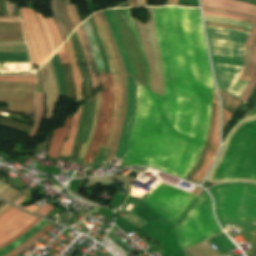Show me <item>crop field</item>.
Listing matches in <instances>:
<instances>
[{
	"label": "crop field",
	"mask_w": 256,
	"mask_h": 256,
	"mask_svg": "<svg viewBox=\"0 0 256 256\" xmlns=\"http://www.w3.org/2000/svg\"><path fill=\"white\" fill-rule=\"evenodd\" d=\"M124 10L144 60L147 89L138 82L137 110L122 165H148L185 179L203 149L213 99L199 9L152 7L164 97L150 91L148 61Z\"/></svg>",
	"instance_id": "8a807250"
},
{
	"label": "crop field",
	"mask_w": 256,
	"mask_h": 256,
	"mask_svg": "<svg viewBox=\"0 0 256 256\" xmlns=\"http://www.w3.org/2000/svg\"><path fill=\"white\" fill-rule=\"evenodd\" d=\"M206 30L218 87L228 90L242 72L248 33L217 26Z\"/></svg>",
	"instance_id": "ac0d7876"
},
{
	"label": "crop field",
	"mask_w": 256,
	"mask_h": 256,
	"mask_svg": "<svg viewBox=\"0 0 256 256\" xmlns=\"http://www.w3.org/2000/svg\"><path fill=\"white\" fill-rule=\"evenodd\" d=\"M221 224L256 225V185L221 184L209 189Z\"/></svg>",
	"instance_id": "34b2d1b8"
},
{
	"label": "crop field",
	"mask_w": 256,
	"mask_h": 256,
	"mask_svg": "<svg viewBox=\"0 0 256 256\" xmlns=\"http://www.w3.org/2000/svg\"><path fill=\"white\" fill-rule=\"evenodd\" d=\"M229 178L256 180V121L243 125L233 137L213 179Z\"/></svg>",
	"instance_id": "412701ff"
},
{
	"label": "crop field",
	"mask_w": 256,
	"mask_h": 256,
	"mask_svg": "<svg viewBox=\"0 0 256 256\" xmlns=\"http://www.w3.org/2000/svg\"><path fill=\"white\" fill-rule=\"evenodd\" d=\"M221 232L212 214L210 197L203 192L171 233L183 249Z\"/></svg>",
	"instance_id": "f4fd0767"
},
{
	"label": "crop field",
	"mask_w": 256,
	"mask_h": 256,
	"mask_svg": "<svg viewBox=\"0 0 256 256\" xmlns=\"http://www.w3.org/2000/svg\"><path fill=\"white\" fill-rule=\"evenodd\" d=\"M82 25L85 30L87 39L89 41L92 55L98 67V72L99 73L105 72L103 68L101 56L98 50V46L94 38L89 20L82 23ZM99 76H100V80L103 85L104 91H102V100H101V106H100V111L98 115L95 136L89 146L84 162H91L99 151L97 147L103 146V143L106 140V136H107V132L110 124V115H111L112 101H113L112 78H111V74H107L108 80H109V85H108L105 73L99 74ZM108 97H109V106H108ZM107 106H108V109H107Z\"/></svg>",
	"instance_id": "dd49c442"
},
{
	"label": "crop field",
	"mask_w": 256,
	"mask_h": 256,
	"mask_svg": "<svg viewBox=\"0 0 256 256\" xmlns=\"http://www.w3.org/2000/svg\"><path fill=\"white\" fill-rule=\"evenodd\" d=\"M19 10L33 63L40 67L56 50L52 35L43 15L27 8Z\"/></svg>",
	"instance_id": "e52e79f7"
},
{
	"label": "crop field",
	"mask_w": 256,
	"mask_h": 256,
	"mask_svg": "<svg viewBox=\"0 0 256 256\" xmlns=\"http://www.w3.org/2000/svg\"><path fill=\"white\" fill-rule=\"evenodd\" d=\"M92 19L94 20L100 38L102 40L106 57L112 72L113 77V89H114V101H113V110H112V117H111V126L108 133V137L105 143L104 149H110L114 143L115 132L117 128V124L119 121L121 109H122V81H121V71L119 64L114 56V52L112 49L111 42L105 30V27L99 17V13H95L91 15Z\"/></svg>",
	"instance_id": "d8731c3e"
},
{
	"label": "crop field",
	"mask_w": 256,
	"mask_h": 256,
	"mask_svg": "<svg viewBox=\"0 0 256 256\" xmlns=\"http://www.w3.org/2000/svg\"><path fill=\"white\" fill-rule=\"evenodd\" d=\"M145 197L176 222L196 199L192 194L160 182Z\"/></svg>",
	"instance_id": "5a996713"
},
{
	"label": "crop field",
	"mask_w": 256,
	"mask_h": 256,
	"mask_svg": "<svg viewBox=\"0 0 256 256\" xmlns=\"http://www.w3.org/2000/svg\"><path fill=\"white\" fill-rule=\"evenodd\" d=\"M148 10L150 15L148 22L145 23V25L137 19L136 22L140 30V38L143 42L150 65L151 89L163 95L161 61L153 26L151 7H149Z\"/></svg>",
	"instance_id": "3316defc"
},
{
	"label": "crop field",
	"mask_w": 256,
	"mask_h": 256,
	"mask_svg": "<svg viewBox=\"0 0 256 256\" xmlns=\"http://www.w3.org/2000/svg\"><path fill=\"white\" fill-rule=\"evenodd\" d=\"M37 217L12 208L0 218V244L11 239L31 224Z\"/></svg>",
	"instance_id": "28ad6ade"
},
{
	"label": "crop field",
	"mask_w": 256,
	"mask_h": 256,
	"mask_svg": "<svg viewBox=\"0 0 256 256\" xmlns=\"http://www.w3.org/2000/svg\"><path fill=\"white\" fill-rule=\"evenodd\" d=\"M127 90H128V108L122 132L120 135L119 146L114 157L124 158L129 132L132 121L135 115L136 102H137V80L127 75Z\"/></svg>",
	"instance_id": "d1516ede"
},
{
	"label": "crop field",
	"mask_w": 256,
	"mask_h": 256,
	"mask_svg": "<svg viewBox=\"0 0 256 256\" xmlns=\"http://www.w3.org/2000/svg\"><path fill=\"white\" fill-rule=\"evenodd\" d=\"M41 71L43 77V92H45L47 104L44 120H52L59 93L50 60L43 65Z\"/></svg>",
	"instance_id": "22f410ed"
},
{
	"label": "crop field",
	"mask_w": 256,
	"mask_h": 256,
	"mask_svg": "<svg viewBox=\"0 0 256 256\" xmlns=\"http://www.w3.org/2000/svg\"><path fill=\"white\" fill-rule=\"evenodd\" d=\"M33 97L32 93H0V101L8 106V108L0 110L34 111Z\"/></svg>",
	"instance_id": "cbeb9de0"
},
{
	"label": "crop field",
	"mask_w": 256,
	"mask_h": 256,
	"mask_svg": "<svg viewBox=\"0 0 256 256\" xmlns=\"http://www.w3.org/2000/svg\"><path fill=\"white\" fill-rule=\"evenodd\" d=\"M202 6L256 16V6L235 0H201Z\"/></svg>",
	"instance_id": "5142ce71"
},
{
	"label": "crop field",
	"mask_w": 256,
	"mask_h": 256,
	"mask_svg": "<svg viewBox=\"0 0 256 256\" xmlns=\"http://www.w3.org/2000/svg\"><path fill=\"white\" fill-rule=\"evenodd\" d=\"M104 16H105V19L109 25V28H110V31L112 33V36L114 38V41L117 45V48L120 52V55L123 59V62H124V66H125V71L127 74L133 76L136 78L135 76V72H134V69L128 59V56L123 48V45H122V41H121V37H120V33H119V29H118V26H117V23H116V20L114 18V15L112 13L111 10H105V11H102Z\"/></svg>",
	"instance_id": "d9b57169"
},
{
	"label": "crop field",
	"mask_w": 256,
	"mask_h": 256,
	"mask_svg": "<svg viewBox=\"0 0 256 256\" xmlns=\"http://www.w3.org/2000/svg\"><path fill=\"white\" fill-rule=\"evenodd\" d=\"M251 55H252V46H246V57H245V63H244V69L242 75L238 78L239 81L247 82L249 83L252 76H247L250 68L251 63ZM247 84L236 81L232 87L227 91V93H230L238 98L242 95L246 88Z\"/></svg>",
	"instance_id": "733c2abd"
},
{
	"label": "crop field",
	"mask_w": 256,
	"mask_h": 256,
	"mask_svg": "<svg viewBox=\"0 0 256 256\" xmlns=\"http://www.w3.org/2000/svg\"><path fill=\"white\" fill-rule=\"evenodd\" d=\"M70 118H71V115L67 117L62 127H59L53 131L52 139L49 143V150H48V154L50 157H53L55 159L57 158L62 146V142L66 138L68 133Z\"/></svg>",
	"instance_id": "4a817a6b"
},
{
	"label": "crop field",
	"mask_w": 256,
	"mask_h": 256,
	"mask_svg": "<svg viewBox=\"0 0 256 256\" xmlns=\"http://www.w3.org/2000/svg\"><path fill=\"white\" fill-rule=\"evenodd\" d=\"M69 61L74 73V79H75V89H76V99L75 102L81 101L82 100V80H81V75L77 67L76 59L73 53L72 45L70 38L67 39V41L64 43Z\"/></svg>",
	"instance_id": "bc2a9ffb"
},
{
	"label": "crop field",
	"mask_w": 256,
	"mask_h": 256,
	"mask_svg": "<svg viewBox=\"0 0 256 256\" xmlns=\"http://www.w3.org/2000/svg\"><path fill=\"white\" fill-rule=\"evenodd\" d=\"M81 106L82 104L78 107L77 112L73 115L71 126H70V131L68 135L67 141H64L61 152L59 155L61 156H70L71 148L74 142V138L77 132V125H78V120H79V115L81 111Z\"/></svg>",
	"instance_id": "214f88e0"
},
{
	"label": "crop field",
	"mask_w": 256,
	"mask_h": 256,
	"mask_svg": "<svg viewBox=\"0 0 256 256\" xmlns=\"http://www.w3.org/2000/svg\"><path fill=\"white\" fill-rule=\"evenodd\" d=\"M35 106H36V124L29 134V138L35 139L39 130L40 124L45 114L44 108V93L36 92L35 94Z\"/></svg>",
	"instance_id": "92a150f3"
},
{
	"label": "crop field",
	"mask_w": 256,
	"mask_h": 256,
	"mask_svg": "<svg viewBox=\"0 0 256 256\" xmlns=\"http://www.w3.org/2000/svg\"><path fill=\"white\" fill-rule=\"evenodd\" d=\"M35 84L0 81L1 92H33Z\"/></svg>",
	"instance_id": "dafd665d"
},
{
	"label": "crop field",
	"mask_w": 256,
	"mask_h": 256,
	"mask_svg": "<svg viewBox=\"0 0 256 256\" xmlns=\"http://www.w3.org/2000/svg\"><path fill=\"white\" fill-rule=\"evenodd\" d=\"M46 223H48V221L42 219L40 222H38L34 227H32L28 232H26L20 238H18L11 244L7 245L6 247L0 249V256H3L4 254L8 253L15 247L19 246L21 243L27 240L32 234H34L36 231L42 228Z\"/></svg>",
	"instance_id": "00972430"
},
{
	"label": "crop field",
	"mask_w": 256,
	"mask_h": 256,
	"mask_svg": "<svg viewBox=\"0 0 256 256\" xmlns=\"http://www.w3.org/2000/svg\"><path fill=\"white\" fill-rule=\"evenodd\" d=\"M55 226V224L49 222L48 224H46L42 229H40L37 233H35L33 236L35 237H39L42 234L47 233L49 230H51L53 227ZM43 236V235H42ZM41 236V237H42ZM40 238V237H39ZM38 238V239H39ZM34 237L29 238L26 242H24L22 245H20L19 247H17L16 249L12 250L13 252L20 254L22 253L26 248H28L30 245H32L36 240H38ZM10 252L4 256H17V254Z\"/></svg>",
	"instance_id": "a9b5d70f"
},
{
	"label": "crop field",
	"mask_w": 256,
	"mask_h": 256,
	"mask_svg": "<svg viewBox=\"0 0 256 256\" xmlns=\"http://www.w3.org/2000/svg\"><path fill=\"white\" fill-rule=\"evenodd\" d=\"M215 109H216V104L213 103V110H212V118H211V122H210V127H209V133H208V137H207V140H206V144H205V147L203 149V152H202V155H201V159L198 163V165L195 167V169L192 171V173L188 176V180L191 179V177L196 173V171L200 168V166L202 165L205 157H206V154H207V151H208V148H209V145L211 143V139H212V135H213V129H214V120H215Z\"/></svg>",
	"instance_id": "4177f3b9"
},
{
	"label": "crop field",
	"mask_w": 256,
	"mask_h": 256,
	"mask_svg": "<svg viewBox=\"0 0 256 256\" xmlns=\"http://www.w3.org/2000/svg\"><path fill=\"white\" fill-rule=\"evenodd\" d=\"M52 64L56 75L57 83L59 86L60 95H67L65 80L63 77L62 68L59 62L58 54L56 53L52 58Z\"/></svg>",
	"instance_id": "730fd06b"
},
{
	"label": "crop field",
	"mask_w": 256,
	"mask_h": 256,
	"mask_svg": "<svg viewBox=\"0 0 256 256\" xmlns=\"http://www.w3.org/2000/svg\"><path fill=\"white\" fill-rule=\"evenodd\" d=\"M99 106H100V92L97 93L96 108H95V113H94V118H93L91 131L89 133L86 144H84V143L82 144L78 157H81V158L84 157L87 146H88L89 142L91 141V139L93 138L94 130H95V126H96L97 115H98V111H99Z\"/></svg>",
	"instance_id": "eef30255"
},
{
	"label": "crop field",
	"mask_w": 256,
	"mask_h": 256,
	"mask_svg": "<svg viewBox=\"0 0 256 256\" xmlns=\"http://www.w3.org/2000/svg\"><path fill=\"white\" fill-rule=\"evenodd\" d=\"M204 21L205 22H219L223 24H228V25H233L237 27H242V28H252V24L240 22V21H235V20H230V19H225V18H219V17H214V16H204Z\"/></svg>",
	"instance_id": "ae1a2a85"
},
{
	"label": "crop field",
	"mask_w": 256,
	"mask_h": 256,
	"mask_svg": "<svg viewBox=\"0 0 256 256\" xmlns=\"http://www.w3.org/2000/svg\"><path fill=\"white\" fill-rule=\"evenodd\" d=\"M51 8H52V12H53L55 23H56V25H57L60 33H61L63 41H65L67 36H68V34H67L66 29H65V27L63 25V22H62V20L60 18L58 7H57V1L56 0H51Z\"/></svg>",
	"instance_id": "d3111659"
},
{
	"label": "crop field",
	"mask_w": 256,
	"mask_h": 256,
	"mask_svg": "<svg viewBox=\"0 0 256 256\" xmlns=\"http://www.w3.org/2000/svg\"><path fill=\"white\" fill-rule=\"evenodd\" d=\"M217 135H218V105H217V109H216V120H215V129H214V135H213V139H212V144H211V148L207 154V157L205 159L204 164L202 165V167L198 170V172L196 173V175L193 177V179L191 181H195V179L201 174V172L204 170L212 152L213 149L215 147L216 144V140H217Z\"/></svg>",
	"instance_id": "750c4746"
},
{
	"label": "crop field",
	"mask_w": 256,
	"mask_h": 256,
	"mask_svg": "<svg viewBox=\"0 0 256 256\" xmlns=\"http://www.w3.org/2000/svg\"><path fill=\"white\" fill-rule=\"evenodd\" d=\"M0 61L30 62L28 53H0Z\"/></svg>",
	"instance_id": "bd1437ed"
},
{
	"label": "crop field",
	"mask_w": 256,
	"mask_h": 256,
	"mask_svg": "<svg viewBox=\"0 0 256 256\" xmlns=\"http://www.w3.org/2000/svg\"><path fill=\"white\" fill-rule=\"evenodd\" d=\"M0 33H22L21 22H18V23L0 22Z\"/></svg>",
	"instance_id": "1d83c4d3"
},
{
	"label": "crop field",
	"mask_w": 256,
	"mask_h": 256,
	"mask_svg": "<svg viewBox=\"0 0 256 256\" xmlns=\"http://www.w3.org/2000/svg\"><path fill=\"white\" fill-rule=\"evenodd\" d=\"M46 20H47L48 25L51 29V32H52V35H53V38H54V41H55L56 48H58L59 46H61L63 44L60 33H59V31H58V29H57V27H56L52 18H46Z\"/></svg>",
	"instance_id": "120bbe31"
},
{
	"label": "crop field",
	"mask_w": 256,
	"mask_h": 256,
	"mask_svg": "<svg viewBox=\"0 0 256 256\" xmlns=\"http://www.w3.org/2000/svg\"><path fill=\"white\" fill-rule=\"evenodd\" d=\"M241 101L242 100L229 94L222 107L233 113Z\"/></svg>",
	"instance_id": "d32e631a"
},
{
	"label": "crop field",
	"mask_w": 256,
	"mask_h": 256,
	"mask_svg": "<svg viewBox=\"0 0 256 256\" xmlns=\"http://www.w3.org/2000/svg\"><path fill=\"white\" fill-rule=\"evenodd\" d=\"M79 28H80L82 37H83V39H84L85 45H86V47H87V53H88L89 58H90V60H91L93 73H94L95 78H96V86H97V87H100L99 79H98V77L96 76V73H95V70H96L95 62H94V59H93V57H92V55H91L90 48H89V44H88V41H87V39H86V36H85L84 30H83V28H82V25H80Z\"/></svg>",
	"instance_id": "5866460e"
},
{
	"label": "crop field",
	"mask_w": 256,
	"mask_h": 256,
	"mask_svg": "<svg viewBox=\"0 0 256 256\" xmlns=\"http://www.w3.org/2000/svg\"><path fill=\"white\" fill-rule=\"evenodd\" d=\"M59 7H60V10L62 12V15H63V18H64V21H65V24L67 26V29L69 31V34L72 32V30L74 29L71 21H70V18H69V15H68V12H67V8L65 6V3L61 2L59 0Z\"/></svg>",
	"instance_id": "028f5c9d"
},
{
	"label": "crop field",
	"mask_w": 256,
	"mask_h": 256,
	"mask_svg": "<svg viewBox=\"0 0 256 256\" xmlns=\"http://www.w3.org/2000/svg\"><path fill=\"white\" fill-rule=\"evenodd\" d=\"M76 31H77V34H78V36H79L80 42H81V44H82V48H83V51H84V55H85V58H86V62H87L88 68H89V72H90L91 79H92V83H93V90H95V81H94V77H93V73H92V69H91L90 60H89L88 55H87V53H86L85 46H84V42H83V39H82V37H81L79 28H77Z\"/></svg>",
	"instance_id": "e1f06a70"
},
{
	"label": "crop field",
	"mask_w": 256,
	"mask_h": 256,
	"mask_svg": "<svg viewBox=\"0 0 256 256\" xmlns=\"http://www.w3.org/2000/svg\"><path fill=\"white\" fill-rule=\"evenodd\" d=\"M218 147H219V138L217 140L216 147L214 149V152H213V154L210 158V161H209L208 165L206 166L205 170L203 171V173L200 175V177L196 181H201L203 179V177L206 175V173L208 172V170H209V168H210V166H211V164H212V162H213V160H214V158H215V156L218 152Z\"/></svg>",
	"instance_id": "0bd39190"
},
{
	"label": "crop field",
	"mask_w": 256,
	"mask_h": 256,
	"mask_svg": "<svg viewBox=\"0 0 256 256\" xmlns=\"http://www.w3.org/2000/svg\"><path fill=\"white\" fill-rule=\"evenodd\" d=\"M0 52H28L25 45L12 46V47H0Z\"/></svg>",
	"instance_id": "b80d0937"
},
{
	"label": "crop field",
	"mask_w": 256,
	"mask_h": 256,
	"mask_svg": "<svg viewBox=\"0 0 256 256\" xmlns=\"http://www.w3.org/2000/svg\"><path fill=\"white\" fill-rule=\"evenodd\" d=\"M203 11H206V12H213V13H219V14H226V15L240 16V17H244V18L256 20L255 17L246 16V15H241V14H236V13H231V12H227V11L211 10V9H205V8H203Z\"/></svg>",
	"instance_id": "c035e120"
},
{
	"label": "crop field",
	"mask_w": 256,
	"mask_h": 256,
	"mask_svg": "<svg viewBox=\"0 0 256 256\" xmlns=\"http://www.w3.org/2000/svg\"><path fill=\"white\" fill-rule=\"evenodd\" d=\"M255 82H256V76H253V78H252V80L250 81V83H249L247 89L245 90V92L243 93V95L241 96L240 99H242L243 101L246 102V100H247V98H248V96H249V94H250V92H251V90H252V88H253Z\"/></svg>",
	"instance_id": "c21b1889"
},
{
	"label": "crop field",
	"mask_w": 256,
	"mask_h": 256,
	"mask_svg": "<svg viewBox=\"0 0 256 256\" xmlns=\"http://www.w3.org/2000/svg\"><path fill=\"white\" fill-rule=\"evenodd\" d=\"M41 219L38 218L36 221H34L30 226H28L26 229H24L23 231H21L19 234H17L15 237H13L11 240L5 242L4 244L0 245V248L6 246L7 244H9L10 242L14 241L15 239H17L19 236H21L22 234H24L26 231H28L32 226H34L38 221H40Z\"/></svg>",
	"instance_id": "03da06ac"
},
{
	"label": "crop field",
	"mask_w": 256,
	"mask_h": 256,
	"mask_svg": "<svg viewBox=\"0 0 256 256\" xmlns=\"http://www.w3.org/2000/svg\"><path fill=\"white\" fill-rule=\"evenodd\" d=\"M256 71V47L253 46L252 64L248 75H254Z\"/></svg>",
	"instance_id": "b54c1fbb"
},
{
	"label": "crop field",
	"mask_w": 256,
	"mask_h": 256,
	"mask_svg": "<svg viewBox=\"0 0 256 256\" xmlns=\"http://www.w3.org/2000/svg\"><path fill=\"white\" fill-rule=\"evenodd\" d=\"M203 14L204 15H214V16H220V17L236 19V20H240V21H244V22H248V23H252V24L255 23V21H253V20H247V19H243V18H239V17H234V16H226V15H219V14H213V13H203Z\"/></svg>",
	"instance_id": "5d738f31"
},
{
	"label": "crop field",
	"mask_w": 256,
	"mask_h": 256,
	"mask_svg": "<svg viewBox=\"0 0 256 256\" xmlns=\"http://www.w3.org/2000/svg\"><path fill=\"white\" fill-rule=\"evenodd\" d=\"M58 54H59V58H60L61 63L69 62L68 58H67V55H66L64 45H62L61 48L58 50Z\"/></svg>",
	"instance_id": "d23c7cc5"
},
{
	"label": "crop field",
	"mask_w": 256,
	"mask_h": 256,
	"mask_svg": "<svg viewBox=\"0 0 256 256\" xmlns=\"http://www.w3.org/2000/svg\"><path fill=\"white\" fill-rule=\"evenodd\" d=\"M54 206L46 203L42 208H40L36 213L45 216Z\"/></svg>",
	"instance_id": "425ffa30"
},
{
	"label": "crop field",
	"mask_w": 256,
	"mask_h": 256,
	"mask_svg": "<svg viewBox=\"0 0 256 256\" xmlns=\"http://www.w3.org/2000/svg\"><path fill=\"white\" fill-rule=\"evenodd\" d=\"M0 78H35L34 74L27 75H8V76H0Z\"/></svg>",
	"instance_id": "25e5ab78"
},
{
	"label": "crop field",
	"mask_w": 256,
	"mask_h": 256,
	"mask_svg": "<svg viewBox=\"0 0 256 256\" xmlns=\"http://www.w3.org/2000/svg\"><path fill=\"white\" fill-rule=\"evenodd\" d=\"M255 35H256V24L251 29V34H250V36L247 40L246 45H252L253 44V40H254Z\"/></svg>",
	"instance_id": "73cf0c24"
},
{
	"label": "crop field",
	"mask_w": 256,
	"mask_h": 256,
	"mask_svg": "<svg viewBox=\"0 0 256 256\" xmlns=\"http://www.w3.org/2000/svg\"><path fill=\"white\" fill-rule=\"evenodd\" d=\"M232 113L222 109V127L227 122V120L230 118Z\"/></svg>",
	"instance_id": "89e229c0"
},
{
	"label": "crop field",
	"mask_w": 256,
	"mask_h": 256,
	"mask_svg": "<svg viewBox=\"0 0 256 256\" xmlns=\"http://www.w3.org/2000/svg\"><path fill=\"white\" fill-rule=\"evenodd\" d=\"M255 250H256V232H255V235H254L252 244H251V248H250L249 255H250V256H254Z\"/></svg>",
	"instance_id": "1f2cbd36"
},
{
	"label": "crop field",
	"mask_w": 256,
	"mask_h": 256,
	"mask_svg": "<svg viewBox=\"0 0 256 256\" xmlns=\"http://www.w3.org/2000/svg\"><path fill=\"white\" fill-rule=\"evenodd\" d=\"M205 24H206V25L224 26V27H229V28H233V29L243 30V31H247V32L250 31V30H248V29H242V28H237V27L228 26V25H223V24H218V23H205Z\"/></svg>",
	"instance_id": "dbb93151"
},
{
	"label": "crop field",
	"mask_w": 256,
	"mask_h": 256,
	"mask_svg": "<svg viewBox=\"0 0 256 256\" xmlns=\"http://www.w3.org/2000/svg\"><path fill=\"white\" fill-rule=\"evenodd\" d=\"M67 8H68V11H69V15H70L71 21H72L74 27H76L77 24H76V22H75V20H74V18H73V14H72V11H71V9H70V6L67 5Z\"/></svg>",
	"instance_id": "0fb4a251"
},
{
	"label": "crop field",
	"mask_w": 256,
	"mask_h": 256,
	"mask_svg": "<svg viewBox=\"0 0 256 256\" xmlns=\"http://www.w3.org/2000/svg\"><path fill=\"white\" fill-rule=\"evenodd\" d=\"M25 42H17V43H0V46H11V45H22Z\"/></svg>",
	"instance_id": "1d79db26"
},
{
	"label": "crop field",
	"mask_w": 256,
	"mask_h": 256,
	"mask_svg": "<svg viewBox=\"0 0 256 256\" xmlns=\"http://www.w3.org/2000/svg\"><path fill=\"white\" fill-rule=\"evenodd\" d=\"M30 212H35L36 209H38V207L32 205V206H29V207H22Z\"/></svg>",
	"instance_id": "9d1cf04e"
},
{
	"label": "crop field",
	"mask_w": 256,
	"mask_h": 256,
	"mask_svg": "<svg viewBox=\"0 0 256 256\" xmlns=\"http://www.w3.org/2000/svg\"><path fill=\"white\" fill-rule=\"evenodd\" d=\"M5 5H6V9H7L8 14H9V15H12V14H11L10 7H9L8 0H5Z\"/></svg>",
	"instance_id": "447ae74e"
},
{
	"label": "crop field",
	"mask_w": 256,
	"mask_h": 256,
	"mask_svg": "<svg viewBox=\"0 0 256 256\" xmlns=\"http://www.w3.org/2000/svg\"><path fill=\"white\" fill-rule=\"evenodd\" d=\"M71 7H72V10H73L75 19H76V21H77V24H80L79 19H78L77 14H76V11H75V9H74V6L71 5Z\"/></svg>",
	"instance_id": "0765c3eb"
},
{
	"label": "crop field",
	"mask_w": 256,
	"mask_h": 256,
	"mask_svg": "<svg viewBox=\"0 0 256 256\" xmlns=\"http://www.w3.org/2000/svg\"><path fill=\"white\" fill-rule=\"evenodd\" d=\"M239 1H243V2H247V3H251V4L256 5V0H239Z\"/></svg>",
	"instance_id": "db79e9e6"
},
{
	"label": "crop field",
	"mask_w": 256,
	"mask_h": 256,
	"mask_svg": "<svg viewBox=\"0 0 256 256\" xmlns=\"http://www.w3.org/2000/svg\"><path fill=\"white\" fill-rule=\"evenodd\" d=\"M5 184V183H4ZM9 185L5 184L2 187H0V193H2L6 188H8Z\"/></svg>",
	"instance_id": "7b73153f"
},
{
	"label": "crop field",
	"mask_w": 256,
	"mask_h": 256,
	"mask_svg": "<svg viewBox=\"0 0 256 256\" xmlns=\"http://www.w3.org/2000/svg\"><path fill=\"white\" fill-rule=\"evenodd\" d=\"M12 208V206H8L3 212H1L0 213V217L3 215V214H5L9 209H11Z\"/></svg>",
	"instance_id": "78b8030e"
},
{
	"label": "crop field",
	"mask_w": 256,
	"mask_h": 256,
	"mask_svg": "<svg viewBox=\"0 0 256 256\" xmlns=\"http://www.w3.org/2000/svg\"><path fill=\"white\" fill-rule=\"evenodd\" d=\"M166 4H177V0H168Z\"/></svg>",
	"instance_id": "0f1d7ab4"
},
{
	"label": "crop field",
	"mask_w": 256,
	"mask_h": 256,
	"mask_svg": "<svg viewBox=\"0 0 256 256\" xmlns=\"http://www.w3.org/2000/svg\"><path fill=\"white\" fill-rule=\"evenodd\" d=\"M213 102L218 103V98H217V94H216L215 90H214V99H213Z\"/></svg>",
	"instance_id": "e1d0b9f6"
},
{
	"label": "crop field",
	"mask_w": 256,
	"mask_h": 256,
	"mask_svg": "<svg viewBox=\"0 0 256 256\" xmlns=\"http://www.w3.org/2000/svg\"><path fill=\"white\" fill-rule=\"evenodd\" d=\"M1 1H2L3 12H4L5 15H7L5 7H4V1L3 0H1Z\"/></svg>",
	"instance_id": "ae633e8c"
},
{
	"label": "crop field",
	"mask_w": 256,
	"mask_h": 256,
	"mask_svg": "<svg viewBox=\"0 0 256 256\" xmlns=\"http://www.w3.org/2000/svg\"><path fill=\"white\" fill-rule=\"evenodd\" d=\"M7 206H8V204H6L5 206H3V207L0 209V212L3 211Z\"/></svg>",
	"instance_id": "d14b1444"
},
{
	"label": "crop field",
	"mask_w": 256,
	"mask_h": 256,
	"mask_svg": "<svg viewBox=\"0 0 256 256\" xmlns=\"http://www.w3.org/2000/svg\"><path fill=\"white\" fill-rule=\"evenodd\" d=\"M19 41H24V40H19ZM0 42H16V41H0Z\"/></svg>",
	"instance_id": "c39391a2"
},
{
	"label": "crop field",
	"mask_w": 256,
	"mask_h": 256,
	"mask_svg": "<svg viewBox=\"0 0 256 256\" xmlns=\"http://www.w3.org/2000/svg\"><path fill=\"white\" fill-rule=\"evenodd\" d=\"M23 39V38H20ZM0 40H18V39H0Z\"/></svg>",
	"instance_id": "ade564c9"
},
{
	"label": "crop field",
	"mask_w": 256,
	"mask_h": 256,
	"mask_svg": "<svg viewBox=\"0 0 256 256\" xmlns=\"http://www.w3.org/2000/svg\"><path fill=\"white\" fill-rule=\"evenodd\" d=\"M254 112H256V108H255L252 112H250V113H254ZM250 113H249V114H250Z\"/></svg>",
	"instance_id": "c5b07064"
},
{
	"label": "crop field",
	"mask_w": 256,
	"mask_h": 256,
	"mask_svg": "<svg viewBox=\"0 0 256 256\" xmlns=\"http://www.w3.org/2000/svg\"><path fill=\"white\" fill-rule=\"evenodd\" d=\"M253 45H256V38H255V40H254V44Z\"/></svg>",
	"instance_id": "c3a83c6f"
},
{
	"label": "crop field",
	"mask_w": 256,
	"mask_h": 256,
	"mask_svg": "<svg viewBox=\"0 0 256 256\" xmlns=\"http://www.w3.org/2000/svg\"><path fill=\"white\" fill-rule=\"evenodd\" d=\"M3 184V182H0V185H2Z\"/></svg>",
	"instance_id": "fb207236"
},
{
	"label": "crop field",
	"mask_w": 256,
	"mask_h": 256,
	"mask_svg": "<svg viewBox=\"0 0 256 256\" xmlns=\"http://www.w3.org/2000/svg\"><path fill=\"white\" fill-rule=\"evenodd\" d=\"M255 75H256V73H255Z\"/></svg>",
	"instance_id": "7312dd0a"
}]
</instances>
